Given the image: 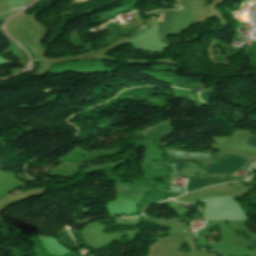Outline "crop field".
<instances>
[{"label": "crop field", "instance_id": "obj_8", "mask_svg": "<svg viewBox=\"0 0 256 256\" xmlns=\"http://www.w3.org/2000/svg\"><path fill=\"white\" fill-rule=\"evenodd\" d=\"M247 144H249V145H251V146H253V147H256V136H252V137L248 140Z\"/></svg>", "mask_w": 256, "mask_h": 256}, {"label": "crop field", "instance_id": "obj_4", "mask_svg": "<svg viewBox=\"0 0 256 256\" xmlns=\"http://www.w3.org/2000/svg\"><path fill=\"white\" fill-rule=\"evenodd\" d=\"M172 131L171 126L169 121L167 122H163L162 124L146 131V132H139L137 135H141V136H147L149 137V135H147V133H153L154 136L151 137L153 139H156L159 143V141L168 133H170Z\"/></svg>", "mask_w": 256, "mask_h": 256}, {"label": "crop field", "instance_id": "obj_3", "mask_svg": "<svg viewBox=\"0 0 256 256\" xmlns=\"http://www.w3.org/2000/svg\"><path fill=\"white\" fill-rule=\"evenodd\" d=\"M161 14H165V18L164 15H160L159 22L163 21V18L164 22L158 23V39L163 43H168L166 35L172 34L173 13Z\"/></svg>", "mask_w": 256, "mask_h": 256}, {"label": "crop field", "instance_id": "obj_1", "mask_svg": "<svg viewBox=\"0 0 256 256\" xmlns=\"http://www.w3.org/2000/svg\"><path fill=\"white\" fill-rule=\"evenodd\" d=\"M248 161V159L231 155H213V158L209 164V175H216L226 178L235 172L237 168H242V166Z\"/></svg>", "mask_w": 256, "mask_h": 256}, {"label": "crop field", "instance_id": "obj_5", "mask_svg": "<svg viewBox=\"0 0 256 256\" xmlns=\"http://www.w3.org/2000/svg\"><path fill=\"white\" fill-rule=\"evenodd\" d=\"M189 182L187 184L186 190L187 192L203 187L208 185H213L220 182H225L220 178H214V177H206V178H199V179H190L188 178ZM229 181V180H227Z\"/></svg>", "mask_w": 256, "mask_h": 256}, {"label": "crop field", "instance_id": "obj_6", "mask_svg": "<svg viewBox=\"0 0 256 256\" xmlns=\"http://www.w3.org/2000/svg\"><path fill=\"white\" fill-rule=\"evenodd\" d=\"M3 22H0V26ZM10 47L8 38L0 30V54L8 50Z\"/></svg>", "mask_w": 256, "mask_h": 256}, {"label": "crop field", "instance_id": "obj_7", "mask_svg": "<svg viewBox=\"0 0 256 256\" xmlns=\"http://www.w3.org/2000/svg\"><path fill=\"white\" fill-rule=\"evenodd\" d=\"M170 191L174 192V193H178V194H184L185 190L183 187H176V188H170Z\"/></svg>", "mask_w": 256, "mask_h": 256}, {"label": "crop field", "instance_id": "obj_2", "mask_svg": "<svg viewBox=\"0 0 256 256\" xmlns=\"http://www.w3.org/2000/svg\"><path fill=\"white\" fill-rule=\"evenodd\" d=\"M164 149L166 151L165 160H166V158L176 159V157H181L182 159H197L198 160V158L209 159V157L211 156L209 154H195V153H186V152H183V151H172V150H169L167 148H164ZM170 161L175 162L176 170H177V172H179L180 169H181V166L183 164L190 163L192 160H170ZM169 166H170L172 172H176L175 167H174L173 164H169Z\"/></svg>", "mask_w": 256, "mask_h": 256}]
</instances>
